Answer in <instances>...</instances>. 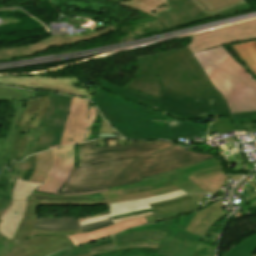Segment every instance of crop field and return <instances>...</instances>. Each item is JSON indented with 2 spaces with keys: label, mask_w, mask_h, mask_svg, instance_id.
<instances>
[{
  "label": "crop field",
  "mask_w": 256,
  "mask_h": 256,
  "mask_svg": "<svg viewBox=\"0 0 256 256\" xmlns=\"http://www.w3.org/2000/svg\"><path fill=\"white\" fill-rule=\"evenodd\" d=\"M148 208H150L149 205L133 207V208H126V209L109 210V214L96 216V217H91V218H86V219H81V220H78V221H79L80 225H83V224H87V223H92V222H96V221L105 220V219H108V218L113 217V216H118V215L131 213V212H135V211H140V210H144V209H148Z\"/></svg>",
  "instance_id": "crop-field-32"
},
{
  "label": "crop field",
  "mask_w": 256,
  "mask_h": 256,
  "mask_svg": "<svg viewBox=\"0 0 256 256\" xmlns=\"http://www.w3.org/2000/svg\"><path fill=\"white\" fill-rule=\"evenodd\" d=\"M36 94V92L26 91L22 89L0 87V102H7L12 100H26L34 98Z\"/></svg>",
  "instance_id": "crop-field-29"
},
{
  "label": "crop field",
  "mask_w": 256,
  "mask_h": 256,
  "mask_svg": "<svg viewBox=\"0 0 256 256\" xmlns=\"http://www.w3.org/2000/svg\"><path fill=\"white\" fill-rule=\"evenodd\" d=\"M210 158L214 157L176 146L131 159L76 167L59 193L111 188Z\"/></svg>",
  "instance_id": "crop-field-2"
},
{
  "label": "crop field",
  "mask_w": 256,
  "mask_h": 256,
  "mask_svg": "<svg viewBox=\"0 0 256 256\" xmlns=\"http://www.w3.org/2000/svg\"><path fill=\"white\" fill-rule=\"evenodd\" d=\"M199 208L198 203L193 199H189L185 202L171 205L164 208L154 209L152 212L156 218V221H162L171 217H175L187 212L197 210Z\"/></svg>",
  "instance_id": "crop-field-24"
},
{
  "label": "crop field",
  "mask_w": 256,
  "mask_h": 256,
  "mask_svg": "<svg viewBox=\"0 0 256 256\" xmlns=\"http://www.w3.org/2000/svg\"><path fill=\"white\" fill-rule=\"evenodd\" d=\"M49 96L50 106L46 115L36 129L29 128L22 159L33 153L58 147L60 144L71 97Z\"/></svg>",
  "instance_id": "crop-field-7"
},
{
  "label": "crop field",
  "mask_w": 256,
  "mask_h": 256,
  "mask_svg": "<svg viewBox=\"0 0 256 256\" xmlns=\"http://www.w3.org/2000/svg\"><path fill=\"white\" fill-rule=\"evenodd\" d=\"M118 4L150 14L166 28L250 8L245 0L210 12L197 0H129Z\"/></svg>",
  "instance_id": "crop-field-6"
},
{
  "label": "crop field",
  "mask_w": 256,
  "mask_h": 256,
  "mask_svg": "<svg viewBox=\"0 0 256 256\" xmlns=\"http://www.w3.org/2000/svg\"><path fill=\"white\" fill-rule=\"evenodd\" d=\"M91 100L104 119L126 138L175 140L205 135L209 125L169 118L99 88Z\"/></svg>",
  "instance_id": "crop-field-3"
},
{
  "label": "crop field",
  "mask_w": 256,
  "mask_h": 256,
  "mask_svg": "<svg viewBox=\"0 0 256 256\" xmlns=\"http://www.w3.org/2000/svg\"><path fill=\"white\" fill-rule=\"evenodd\" d=\"M41 184L16 180L11 192V205L0 218V220H3V222H0V236L3 239L13 240L14 234L24 215L26 198Z\"/></svg>",
  "instance_id": "crop-field-14"
},
{
  "label": "crop field",
  "mask_w": 256,
  "mask_h": 256,
  "mask_svg": "<svg viewBox=\"0 0 256 256\" xmlns=\"http://www.w3.org/2000/svg\"><path fill=\"white\" fill-rule=\"evenodd\" d=\"M114 30L112 26L108 28H103L97 32L84 35L66 36V37H55L40 42H35L27 45H21L17 47H1L0 48V59L10 58L11 56H23L36 54L42 50L59 46V45H69L72 43L83 42L91 38H95L104 35L110 31Z\"/></svg>",
  "instance_id": "crop-field-16"
},
{
  "label": "crop field",
  "mask_w": 256,
  "mask_h": 256,
  "mask_svg": "<svg viewBox=\"0 0 256 256\" xmlns=\"http://www.w3.org/2000/svg\"><path fill=\"white\" fill-rule=\"evenodd\" d=\"M215 247L199 242L197 245L164 238L156 256H214Z\"/></svg>",
  "instance_id": "crop-field-21"
},
{
  "label": "crop field",
  "mask_w": 256,
  "mask_h": 256,
  "mask_svg": "<svg viewBox=\"0 0 256 256\" xmlns=\"http://www.w3.org/2000/svg\"><path fill=\"white\" fill-rule=\"evenodd\" d=\"M100 133H116L104 121H102Z\"/></svg>",
  "instance_id": "crop-field-41"
},
{
  "label": "crop field",
  "mask_w": 256,
  "mask_h": 256,
  "mask_svg": "<svg viewBox=\"0 0 256 256\" xmlns=\"http://www.w3.org/2000/svg\"><path fill=\"white\" fill-rule=\"evenodd\" d=\"M52 153V168L44 179V184L36 190L56 195L73 170V145L54 149Z\"/></svg>",
  "instance_id": "crop-field-15"
},
{
  "label": "crop field",
  "mask_w": 256,
  "mask_h": 256,
  "mask_svg": "<svg viewBox=\"0 0 256 256\" xmlns=\"http://www.w3.org/2000/svg\"><path fill=\"white\" fill-rule=\"evenodd\" d=\"M165 234L164 231H142L114 237L113 239L115 244L137 240H162Z\"/></svg>",
  "instance_id": "crop-field-28"
},
{
  "label": "crop field",
  "mask_w": 256,
  "mask_h": 256,
  "mask_svg": "<svg viewBox=\"0 0 256 256\" xmlns=\"http://www.w3.org/2000/svg\"><path fill=\"white\" fill-rule=\"evenodd\" d=\"M113 219H108L101 222H96L84 226H79L76 217L71 218H51V217H38L35 229L40 230H68V229H81L82 232L89 230H96L101 227L113 224Z\"/></svg>",
  "instance_id": "crop-field-23"
},
{
  "label": "crop field",
  "mask_w": 256,
  "mask_h": 256,
  "mask_svg": "<svg viewBox=\"0 0 256 256\" xmlns=\"http://www.w3.org/2000/svg\"><path fill=\"white\" fill-rule=\"evenodd\" d=\"M30 168L29 169H34L35 167V155L34 156H30Z\"/></svg>",
  "instance_id": "crop-field-45"
},
{
  "label": "crop field",
  "mask_w": 256,
  "mask_h": 256,
  "mask_svg": "<svg viewBox=\"0 0 256 256\" xmlns=\"http://www.w3.org/2000/svg\"><path fill=\"white\" fill-rule=\"evenodd\" d=\"M40 199L52 201H84L103 200V197L101 193L84 196H53L34 191L32 195L27 198L25 216L23 217L15 234V249L6 256H47L65 248L96 240L102 237L111 236L135 225L156 222L154 216L151 215L117 223L96 231H90L86 233L67 236H36L26 239L29 233L32 231L37 219L35 211Z\"/></svg>",
  "instance_id": "crop-field-4"
},
{
  "label": "crop field",
  "mask_w": 256,
  "mask_h": 256,
  "mask_svg": "<svg viewBox=\"0 0 256 256\" xmlns=\"http://www.w3.org/2000/svg\"><path fill=\"white\" fill-rule=\"evenodd\" d=\"M110 241H112L111 237L107 238V239H104V240H101V241H97V242L88 243V244H85V245H82V246L74 247V248H71V249L66 250V251L58 252V253H56L52 256H75V255H78V254H81V253H84V252H88L89 251L88 247L103 244V243H107V242H110Z\"/></svg>",
  "instance_id": "crop-field-33"
},
{
  "label": "crop field",
  "mask_w": 256,
  "mask_h": 256,
  "mask_svg": "<svg viewBox=\"0 0 256 256\" xmlns=\"http://www.w3.org/2000/svg\"><path fill=\"white\" fill-rule=\"evenodd\" d=\"M250 205H251L252 207L255 206V205H256V201L250 203Z\"/></svg>",
  "instance_id": "crop-field-48"
},
{
  "label": "crop field",
  "mask_w": 256,
  "mask_h": 256,
  "mask_svg": "<svg viewBox=\"0 0 256 256\" xmlns=\"http://www.w3.org/2000/svg\"><path fill=\"white\" fill-rule=\"evenodd\" d=\"M188 198H191L189 195L185 196V197H182V198H178V199H174V200H170V201H165V202H161V203H156V204H152L150 205L151 206V209H154V208H159V207H164V206H167V205H171V204H175V203H178V202H182Z\"/></svg>",
  "instance_id": "crop-field-38"
},
{
  "label": "crop field",
  "mask_w": 256,
  "mask_h": 256,
  "mask_svg": "<svg viewBox=\"0 0 256 256\" xmlns=\"http://www.w3.org/2000/svg\"><path fill=\"white\" fill-rule=\"evenodd\" d=\"M111 1H115V2H122V1H126V0H111Z\"/></svg>",
  "instance_id": "crop-field-47"
},
{
  "label": "crop field",
  "mask_w": 256,
  "mask_h": 256,
  "mask_svg": "<svg viewBox=\"0 0 256 256\" xmlns=\"http://www.w3.org/2000/svg\"><path fill=\"white\" fill-rule=\"evenodd\" d=\"M194 214L195 212L190 215H186L162 223L143 225L132 229H127L125 232H122L119 235L141 230H164L168 231L165 235L166 238L197 244L200 241L201 237L184 231L187 223Z\"/></svg>",
  "instance_id": "crop-field-18"
},
{
  "label": "crop field",
  "mask_w": 256,
  "mask_h": 256,
  "mask_svg": "<svg viewBox=\"0 0 256 256\" xmlns=\"http://www.w3.org/2000/svg\"><path fill=\"white\" fill-rule=\"evenodd\" d=\"M209 11L215 8L226 6L240 0H198Z\"/></svg>",
  "instance_id": "crop-field-34"
},
{
  "label": "crop field",
  "mask_w": 256,
  "mask_h": 256,
  "mask_svg": "<svg viewBox=\"0 0 256 256\" xmlns=\"http://www.w3.org/2000/svg\"><path fill=\"white\" fill-rule=\"evenodd\" d=\"M228 177L229 176L225 175L223 171L198 179H196L193 175L188 176V178L198 185L202 190L211 193H217Z\"/></svg>",
  "instance_id": "crop-field-25"
},
{
  "label": "crop field",
  "mask_w": 256,
  "mask_h": 256,
  "mask_svg": "<svg viewBox=\"0 0 256 256\" xmlns=\"http://www.w3.org/2000/svg\"><path fill=\"white\" fill-rule=\"evenodd\" d=\"M108 190H109V189H106V190H98V191H90V192H82V193L57 194V195H84V194H91V193L104 192V191H108Z\"/></svg>",
  "instance_id": "crop-field-43"
},
{
  "label": "crop field",
  "mask_w": 256,
  "mask_h": 256,
  "mask_svg": "<svg viewBox=\"0 0 256 256\" xmlns=\"http://www.w3.org/2000/svg\"><path fill=\"white\" fill-rule=\"evenodd\" d=\"M256 75V40L230 45Z\"/></svg>",
  "instance_id": "crop-field-26"
},
{
  "label": "crop field",
  "mask_w": 256,
  "mask_h": 256,
  "mask_svg": "<svg viewBox=\"0 0 256 256\" xmlns=\"http://www.w3.org/2000/svg\"><path fill=\"white\" fill-rule=\"evenodd\" d=\"M133 248H156V249H158L159 247H156V246H138V247H133ZM123 249H126V248H123ZM118 250H122V249H113V250L104 251V252H100V253H94V254H92V256L99 255V254H104V253H108V252H113V251H118Z\"/></svg>",
  "instance_id": "crop-field-42"
},
{
  "label": "crop field",
  "mask_w": 256,
  "mask_h": 256,
  "mask_svg": "<svg viewBox=\"0 0 256 256\" xmlns=\"http://www.w3.org/2000/svg\"><path fill=\"white\" fill-rule=\"evenodd\" d=\"M81 230H69V231H39V230H35L33 229V231L31 232V234L28 236L32 237L35 235H67V234H75V233H80Z\"/></svg>",
  "instance_id": "crop-field-36"
},
{
  "label": "crop field",
  "mask_w": 256,
  "mask_h": 256,
  "mask_svg": "<svg viewBox=\"0 0 256 256\" xmlns=\"http://www.w3.org/2000/svg\"><path fill=\"white\" fill-rule=\"evenodd\" d=\"M81 77L48 78L43 76L0 77V85L53 91L90 98L92 90L79 88Z\"/></svg>",
  "instance_id": "crop-field-12"
},
{
  "label": "crop field",
  "mask_w": 256,
  "mask_h": 256,
  "mask_svg": "<svg viewBox=\"0 0 256 256\" xmlns=\"http://www.w3.org/2000/svg\"><path fill=\"white\" fill-rule=\"evenodd\" d=\"M241 131L245 130L243 124L238 125H232L231 121L227 118H217V122L214 124H211L208 134H214V133H228L232 131Z\"/></svg>",
  "instance_id": "crop-field-31"
},
{
  "label": "crop field",
  "mask_w": 256,
  "mask_h": 256,
  "mask_svg": "<svg viewBox=\"0 0 256 256\" xmlns=\"http://www.w3.org/2000/svg\"><path fill=\"white\" fill-rule=\"evenodd\" d=\"M97 111L85 99L73 98L61 145L85 142Z\"/></svg>",
  "instance_id": "crop-field-13"
},
{
  "label": "crop field",
  "mask_w": 256,
  "mask_h": 256,
  "mask_svg": "<svg viewBox=\"0 0 256 256\" xmlns=\"http://www.w3.org/2000/svg\"><path fill=\"white\" fill-rule=\"evenodd\" d=\"M28 167L29 160L26 158L20 163H15L13 161L12 172H8L5 168L4 171L0 173V215L10 204V192L16 178L23 179L27 173ZM12 249H14L13 241H6L0 237V256L6 255Z\"/></svg>",
  "instance_id": "crop-field-17"
},
{
  "label": "crop field",
  "mask_w": 256,
  "mask_h": 256,
  "mask_svg": "<svg viewBox=\"0 0 256 256\" xmlns=\"http://www.w3.org/2000/svg\"><path fill=\"white\" fill-rule=\"evenodd\" d=\"M233 117V123L235 122H250V121H256V112L250 111V112H244V113H235L231 114Z\"/></svg>",
  "instance_id": "crop-field-35"
},
{
  "label": "crop field",
  "mask_w": 256,
  "mask_h": 256,
  "mask_svg": "<svg viewBox=\"0 0 256 256\" xmlns=\"http://www.w3.org/2000/svg\"><path fill=\"white\" fill-rule=\"evenodd\" d=\"M151 214H152V212L144 213V214H138V215H133V216H129V217H125V218L113 220V221H114L115 223H117V222L129 220V219H133V218H138V217H142V216H146V215H151Z\"/></svg>",
  "instance_id": "crop-field-40"
},
{
  "label": "crop field",
  "mask_w": 256,
  "mask_h": 256,
  "mask_svg": "<svg viewBox=\"0 0 256 256\" xmlns=\"http://www.w3.org/2000/svg\"><path fill=\"white\" fill-rule=\"evenodd\" d=\"M137 242H161V241H137ZM133 243V242H131ZM126 244V243H125ZM120 245V244H119Z\"/></svg>",
  "instance_id": "crop-field-46"
},
{
  "label": "crop field",
  "mask_w": 256,
  "mask_h": 256,
  "mask_svg": "<svg viewBox=\"0 0 256 256\" xmlns=\"http://www.w3.org/2000/svg\"><path fill=\"white\" fill-rule=\"evenodd\" d=\"M253 256H255V255H253Z\"/></svg>",
  "instance_id": "crop-field-49"
},
{
  "label": "crop field",
  "mask_w": 256,
  "mask_h": 256,
  "mask_svg": "<svg viewBox=\"0 0 256 256\" xmlns=\"http://www.w3.org/2000/svg\"><path fill=\"white\" fill-rule=\"evenodd\" d=\"M194 56L225 97L231 113L256 111V80L222 46L194 53Z\"/></svg>",
  "instance_id": "crop-field-5"
},
{
  "label": "crop field",
  "mask_w": 256,
  "mask_h": 256,
  "mask_svg": "<svg viewBox=\"0 0 256 256\" xmlns=\"http://www.w3.org/2000/svg\"><path fill=\"white\" fill-rule=\"evenodd\" d=\"M256 250V235L232 247L224 256H252Z\"/></svg>",
  "instance_id": "crop-field-30"
},
{
  "label": "crop field",
  "mask_w": 256,
  "mask_h": 256,
  "mask_svg": "<svg viewBox=\"0 0 256 256\" xmlns=\"http://www.w3.org/2000/svg\"><path fill=\"white\" fill-rule=\"evenodd\" d=\"M24 101L10 102L9 112L0 133V170L7 165L18 121L23 113Z\"/></svg>",
  "instance_id": "crop-field-19"
},
{
  "label": "crop field",
  "mask_w": 256,
  "mask_h": 256,
  "mask_svg": "<svg viewBox=\"0 0 256 256\" xmlns=\"http://www.w3.org/2000/svg\"><path fill=\"white\" fill-rule=\"evenodd\" d=\"M221 163L217 158L210 159L207 161L195 163L193 165L176 169L167 173L154 175L152 177L143 178L142 181L111 188L110 190H116L123 188L125 193H132L143 191L150 188H157L175 184L180 187L183 191L188 193L204 192L191 182L186 176L191 175L190 172L203 170L206 168L220 165Z\"/></svg>",
  "instance_id": "crop-field-10"
},
{
  "label": "crop field",
  "mask_w": 256,
  "mask_h": 256,
  "mask_svg": "<svg viewBox=\"0 0 256 256\" xmlns=\"http://www.w3.org/2000/svg\"><path fill=\"white\" fill-rule=\"evenodd\" d=\"M223 202L220 200L198 210L191 218L186 231L203 236L210 225L222 218L227 212L222 211Z\"/></svg>",
  "instance_id": "crop-field-22"
},
{
  "label": "crop field",
  "mask_w": 256,
  "mask_h": 256,
  "mask_svg": "<svg viewBox=\"0 0 256 256\" xmlns=\"http://www.w3.org/2000/svg\"><path fill=\"white\" fill-rule=\"evenodd\" d=\"M137 63L136 74L125 88L104 80L98 87L180 119L231 117L224 97L211 84L187 46L137 57Z\"/></svg>",
  "instance_id": "crop-field-1"
},
{
  "label": "crop field",
  "mask_w": 256,
  "mask_h": 256,
  "mask_svg": "<svg viewBox=\"0 0 256 256\" xmlns=\"http://www.w3.org/2000/svg\"><path fill=\"white\" fill-rule=\"evenodd\" d=\"M113 248H115V247H114V244L111 243V244H107V245H103V246L91 248V249H89L90 252L85 253V254H81V255H78V256H91L90 253H93V252H100V251L109 250V249H113Z\"/></svg>",
  "instance_id": "crop-field-39"
},
{
  "label": "crop field",
  "mask_w": 256,
  "mask_h": 256,
  "mask_svg": "<svg viewBox=\"0 0 256 256\" xmlns=\"http://www.w3.org/2000/svg\"><path fill=\"white\" fill-rule=\"evenodd\" d=\"M105 201H85V202H52L41 201L39 206L44 205H107L109 208H121L146 203H153L161 200L175 198L184 193L177 186H169L158 189L146 190L143 192L124 194L123 190L108 191L102 193Z\"/></svg>",
  "instance_id": "crop-field-9"
},
{
  "label": "crop field",
  "mask_w": 256,
  "mask_h": 256,
  "mask_svg": "<svg viewBox=\"0 0 256 256\" xmlns=\"http://www.w3.org/2000/svg\"><path fill=\"white\" fill-rule=\"evenodd\" d=\"M22 129L23 128H20V127H18V129H17V133H16V136L14 139V143H13V147H12V151H11V155H10L11 158L9 160H15V158H16L17 149L20 144Z\"/></svg>",
  "instance_id": "crop-field-37"
},
{
  "label": "crop field",
  "mask_w": 256,
  "mask_h": 256,
  "mask_svg": "<svg viewBox=\"0 0 256 256\" xmlns=\"http://www.w3.org/2000/svg\"><path fill=\"white\" fill-rule=\"evenodd\" d=\"M193 36L188 45L192 53L250 39H256V20H251Z\"/></svg>",
  "instance_id": "crop-field-11"
},
{
  "label": "crop field",
  "mask_w": 256,
  "mask_h": 256,
  "mask_svg": "<svg viewBox=\"0 0 256 256\" xmlns=\"http://www.w3.org/2000/svg\"><path fill=\"white\" fill-rule=\"evenodd\" d=\"M51 150L36 155V167L29 181L42 182L51 167Z\"/></svg>",
  "instance_id": "crop-field-27"
},
{
  "label": "crop field",
  "mask_w": 256,
  "mask_h": 256,
  "mask_svg": "<svg viewBox=\"0 0 256 256\" xmlns=\"http://www.w3.org/2000/svg\"><path fill=\"white\" fill-rule=\"evenodd\" d=\"M205 194H191L190 196H192L197 202H199V204L203 203V201L200 198H203Z\"/></svg>",
  "instance_id": "crop-field-44"
},
{
  "label": "crop field",
  "mask_w": 256,
  "mask_h": 256,
  "mask_svg": "<svg viewBox=\"0 0 256 256\" xmlns=\"http://www.w3.org/2000/svg\"><path fill=\"white\" fill-rule=\"evenodd\" d=\"M97 140L79 144V165L139 156L176 146L166 141H130V145L96 148Z\"/></svg>",
  "instance_id": "crop-field-8"
},
{
  "label": "crop field",
  "mask_w": 256,
  "mask_h": 256,
  "mask_svg": "<svg viewBox=\"0 0 256 256\" xmlns=\"http://www.w3.org/2000/svg\"><path fill=\"white\" fill-rule=\"evenodd\" d=\"M26 107L18 126L24 127L21 144L18 150L17 159L20 160L24 149L28 127L36 128L45 115L49 106L48 95L26 100Z\"/></svg>",
  "instance_id": "crop-field-20"
}]
</instances>
